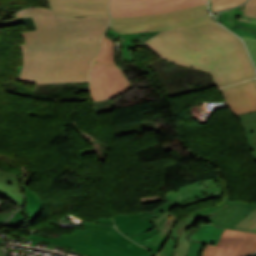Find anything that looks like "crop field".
Returning a JSON list of instances; mask_svg holds the SVG:
<instances>
[{
	"mask_svg": "<svg viewBox=\"0 0 256 256\" xmlns=\"http://www.w3.org/2000/svg\"><path fill=\"white\" fill-rule=\"evenodd\" d=\"M16 18L32 17L36 31L20 33L25 44L19 80L32 83L88 82L108 16L54 17L52 9L26 8ZM97 56V55H96Z\"/></svg>",
	"mask_w": 256,
	"mask_h": 256,
	"instance_id": "obj_2",
	"label": "crop field"
},
{
	"mask_svg": "<svg viewBox=\"0 0 256 256\" xmlns=\"http://www.w3.org/2000/svg\"><path fill=\"white\" fill-rule=\"evenodd\" d=\"M130 88L132 84L120 68L94 61L90 72V94L95 102L120 95Z\"/></svg>",
	"mask_w": 256,
	"mask_h": 256,
	"instance_id": "obj_4",
	"label": "crop field"
},
{
	"mask_svg": "<svg viewBox=\"0 0 256 256\" xmlns=\"http://www.w3.org/2000/svg\"><path fill=\"white\" fill-rule=\"evenodd\" d=\"M198 219L192 217V216H187L186 218H184L183 220H181L176 227L174 228L171 237L174 238H178L181 229H185L187 230L195 221H197Z\"/></svg>",
	"mask_w": 256,
	"mask_h": 256,
	"instance_id": "obj_24",
	"label": "crop field"
},
{
	"mask_svg": "<svg viewBox=\"0 0 256 256\" xmlns=\"http://www.w3.org/2000/svg\"><path fill=\"white\" fill-rule=\"evenodd\" d=\"M109 0H50L56 16L85 17L107 15Z\"/></svg>",
	"mask_w": 256,
	"mask_h": 256,
	"instance_id": "obj_9",
	"label": "crop field"
},
{
	"mask_svg": "<svg viewBox=\"0 0 256 256\" xmlns=\"http://www.w3.org/2000/svg\"><path fill=\"white\" fill-rule=\"evenodd\" d=\"M173 206L174 205L168 203L166 206L157 211H151L153 214L156 215V217L151 219V221L153 222L154 226L158 228L159 231L154 236L137 242L150 248L154 256L156 255V252H159V250L165 243L169 233L171 232V229L176 224H173L171 227L169 226V220H172V217L174 215L166 211Z\"/></svg>",
	"mask_w": 256,
	"mask_h": 256,
	"instance_id": "obj_12",
	"label": "crop field"
},
{
	"mask_svg": "<svg viewBox=\"0 0 256 256\" xmlns=\"http://www.w3.org/2000/svg\"><path fill=\"white\" fill-rule=\"evenodd\" d=\"M13 212H4L0 213V224H3L9 217V214L12 215Z\"/></svg>",
	"mask_w": 256,
	"mask_h": 256,
	"instance_id": "obj_29",
	"label": "crop field"
},
{
	"mask_svg": "<svg viewBox=\"0 0 256 256\" xmlns=\"http://www.w3.org/2000/svg\"><path fill=\"white\" fill-rule=\"evenodd\" d=\"M207 0H110L112 16L160 13L190 7Z\"/></svg>",
	"mask_w": 256,
	"mask_h": 256,
	"instance_id": "obj_5",
	"label": "crop field"
},
{
	"mask_svg": "<svg viewBox=\"0 0 256 256\" xmlns=\"http://www.w3.org/2000/svg\"><path fill=\"white\" fill-rule=\"evenodd\" d=\"M152 217L154 215L151 212L114 214V222L119 231L137 242L158 231L149 220Z\"/></svg>",
	"mask_w": 256,
	"mask_h": 256,
	"instance_id": "obj_10",
	"label": "crop field"
},
{
	"mask_svg": "<svg viewBox=\"0 0 256 256\" xmlns=\"http://www.w3.org/2000/svg\"><path fill=\"white\" fill-rule=\"evenodd\" d=\"M243 16L256 17V0H249L248 3H246Z\"/></svg>",
	"mask_w": 256,
	"mask_h": 256,
	"instance_id": "obj_27",
	"label": "crop field"
},
{
	"mask_svg": "<svg viewBox=\"0 0 256 256\" xmlns=\"http://www.w3.org/2000/svg\"><path fill=\"white\" fill-rule=\"evenodd\" d=\"M212 20L204 3L160 14L112 17L109 27L120 34L160 31L145 41L152 51L209 72L218 88L256 77L242 41Z\"/></svg>",
	"mask_w": 256,
	"mask_h": 256,
	"instance_id": "obj_1",
	"label": "crop field"
},
{
	"mask_svg": "<svg viewBox=\"0 0 256 256\" xmlns=\"http://www.w3.org/2000/svg\"><path fill=\"white\" fill-rule=\"evenodd\" d=\"M224 229L213 225H204L196 229L194 232L189 231L187 234L188 240L217 245Z\"/></svg>",
	"mask_w": 256,
	"mask_h": 256,
	"instance_id": "obj_14",
	"label": "crop field"
},
{
	"mask_svg": "<svg viewBox=\"0 0 256 256\" xmlns=\"http://www.w3.org/2000/svg\"><path fill=\"white\" fill-rule=\"evenodd\" d=\"M96 60L115 65V60L113 57V41L106 36H103L100 53L96 57Z\"/></svg>",
	"mask_w": 256,
	"mask_h": 256,
	"instance_id": "obj_20",
	"label": "crop field"
},
{
	"mask_svg": "<svg viewBox=\"0 0 256 256\" xmlns=\"http://www.w3.org/2000/svg\"><path fill=\"white\" fill-rule=\"evenodd\" d=\"M8 200H10L12 203H14L17 208L20 207V206H19L16 202H14L12 199H9V198H8Z\"/></svg>",
	"mask_w": 256,
	"mask_h": 256,
	"instance_id": "obj_31",
	"label": "crop field"
},
{
	"mask_svg": "<svg viewBox=\"0 0 256 256\" xmlns=\"http://www.w3.org/2000/svg\"><path fill=\"white\" fill-rule=\"evenodd\" d=\"M245 131L251 153L256 160V111L237 116Z\"/></svg>",
	"mask_w": 256,
	"mask_h": 256,
	"instance_id": "obj_16",
	"label": "crop field"
},
{
	"mask_svg": "<svg viewBox=\"0 0 256 256\" xmlns=\"http://www.w3.org/2000/svg\"><path fill=\"white\" fill-rule=\"evenodd\" d=\"M176 240L177 239L169 238L162 251L157 256H173Z\"/></svg>",
	"mask_w": 256,
	"mask_h": 256,
	"instance_id": "obj_25",
	"label": "crop field"
},
{
	"mask_svg": "<svg viewBox=\"0 0 256 256\" xmlns=\"http://www.w3.org/2000/svg\"><path fill=\"white\" fill-rule=\"evenodd\" d=\"M186 233L182 230L178 238L175 256H200L206 244L188 241Z\"/></svg>",
	"mask_w": 256,
	"mask_h": 256,
	"instance_id": "obj_17",
	"label": "crop field"
},
{
	"mask_svg": "<svg viewBox=\"0 0 256 256\" xmlns=\"http://www.w3.org/2000/svg\"><path fill=\"white\" fill-rule=\"evenodd\" d=\"M231 229L256 232V209Z\"/></svg>",
	"mask_w": 256,
	"mask_h": 256,
	"instance_id": "obj_21",
	"label": "crop field"
},
{
	"mask_svg": "<svg viewBox=\"0 0 256 256\" xmlns=\"http://www.w3.org/2000/svg\"><path fill=\"white\" fill-rule=\"evenodd\" d=\"M0 256H3V252H2V250H0Z\"/></svg>",
	"mask_w": 256,
	"mask_h": 256,
	"instance_id": "obj_32",
	"label": "crop field"
},
{
	"mask_svg": "<svg viewBox=\"0 0 256 256\" xmlns=\"http://www.w3.org/2000/svg\"><path fill=\"white\" fill-rule=\"evenodd\" d=\"M21 210H22V208L16 213L14 218L12 217L7 222L6 226H20L25 222V220L23 219V217L21 215Z\"/></svg>",
	"mask_w": 256,
	"mask_h": 256,
	"instance_id": "obj_28",
	"label": "crop field"
},
{
	"mask_svg": "<svg viewBox=\"0 0 256 256\" xmlns=\"http://www.w3.org/2000/svg\"><path fill=\"white\" fill-rule=\"evenodd\" d=\"M199 186V188H198ZM220 198L215 179L197 181L167 193L165 200L177 205L187 206L206 199Z\"/></svg>",
	"mask_w": 256,
	"mask_h": 256,
	"instance_id": "obj_8",
	"label": "crop field"
},
{
	"mask_svg": "<svg viewBox=\"0 0 256 256\" xmlns=\"http://www.w3.org/2000/svg\"><path fill=\"white\" fill-rule=\"evenodd\" d=\"M21 70H22V66H19V67H18V73H17L15 79L18 80Z\"/></svg>",
	"mask_w": 256,
	"mask_h": 256,
	"instance_id": "obj_30",
	"label": "crop field"
},
{
	"mask_svg": "<svg viewBox=\"0 0 256 256\" xmlns=\"http://www.w3.org/2000/svg\"><path fill=\"white\" fill-rule=\"evenodd\" d=\"M236 28L256 36V18L242 17Z\"/></svg>",
	"mask_w": 256,
	"mask_h": 256,
	"instance_id": "obj_22",
	"label": "crop field"
},
{
	"mask_svg": "<svg viewBox=\"0 0 256 256\" xmlns=\"http://www.w3.org/2000/svg\"><path fill=\"white\" fill-rule=\"evenodd\" d=\"M245 43L247 44L250 54L256 64V39L247 38V37H241Z\"/></svg>",
	"mask_w": 256,
	"mask_h": 256,
	"instance_id": "obj_26",
	"label": "crop field"
},
{
	"mask_svg": "<svg viewBox=\"0 0 256 256\" xmlns=\"http://www.w3.org/2000/svg\"><path fill=\"white\" fill-rule=\"evenodd\" d=\"M234 115L256 110V79L222 88Z\"/></svg>",
	"mask_w": 256,
	"mask_h": 256,
	"instance_id": "obj_11",
	"label": "crop field"
},
{
	"mask_svg": "<svg viewBox=\"0 0 256 256\" xmlns=\"http://www.w3.org/2000/svg\"><path fill=\"white\" fill-rule=\"evenodd\" d=\"M255 207L256 203L223 200L216 206L204 208L192 214L212 224L231 228L248 215Z\"/></svg>",
	"mask_w": 256,
	"mask_h": 256,
	"instance_id": "obj_6",
	"label": "crop field"
},
{
	"mask_svg": "<svg viewBox=\"0 0 256 256\" xmlns=\"http://www.w3.org/2000/svg\"><path fill=\"white\" fill-rule=\"evenodd\" d=\"M112 219L97 217L94 222L85 221L83 228H74L71 233H61L58 238L38 233L26 239L55 243L64 236L87 239L102 243L114 250L135 256H151L150 252L121 235L113 227ZM112 226V228H111Z\"/></svg>",
	"mask_w": 256,
	"mask_h": 256,
	"instance_id": "obj_3",
	"label": "crop field"
},
{
	"mask_svg": "<svg viewBox=\"0 0 256 256\" xmlns=\"http://www.w3.org/2000/svg\"><path fill=\"white\" fill-rule=\"evenodd\" d=\"M0 194L13 197L19 204L23 202L18 179L3 171H0Z\"/></svg>",
	"mask_w": 256,
	"mask_h": 256,
	"instance_id": "obj_15",
	"label": "crop field"
},
{
	"mask_svg": "<svg viewBox=\"0 0 256 256\" xmlns=\"http://www.w3.org/2000/svg\"><path fill=\"white\" fill-rule=\"evenodd\" d=\"M56 246L71 247L86 256H130L116 252L99 243L64 237L55 243Z\"/></svg>",
	"mask_w": 256,
	"mask_h": 256,
	"instance_id": "obj_13",
	"label": "crop field"
},
{
	"mask_svg": "<svg viewBox=\"0 0 256 256\" xmlns=\"http://www.w3.org/2000/svg\"><path fill=\"white\" fill-rule=\"evenodd\" d=\"M244 5L238 7V8H234V9H230V10H226L223 11L222 13V18L221 21L223 22V24L228 27L230 30H232L233 32H235L237 35H239L240 37L242 35L247 36V37H252V38H256L253 37L245 32H242L236 28H234L236 26V24L238 23L240 17L243 15L244 12Z\"/></svg>",
	"mask_w": 256,
	"mask_h": 256,
	"instance_id": "obj_18",
	"label": "crop field"
},
{
	"mask_svg": "<svg viewBox=\"0 0 256 256\" xmlns=\"http://www.w3.org/2000/svg\"><path fill=\"white\" fill-rule=\"evenodd\" d=\"M213 11L217 12L223 9L237 6L246 0H211Z\"/></svg>",
	"mask_w": 256,
	"mask_h": 256,
	"instance_id": "obj_23",
	"label": "crop field"
},
{
	"mask_svg": "<svg viewBox=\"0 0 256 256\" xmlns=\"http://www.w3.org/2000/svg\"><path fill=\"white\" fill-rule=\"evenodd\" d=\"M24 189H25L26 199H27V203L25 204L26 215L28 219L34 221L40 215L44 205H43V202L35 193H33L32 191L26 188L25 184H24Z\"/></svg>",
	"mask_w": 256,
	"mask_h": 256,
	"instance_id": "obj_19",
	"label": "crop field"
},
{
	"mask_svg": "<svg viewBox=\"0 0 256 256\" xmlns=\"http://www.w3.org/2000/svg\"><path fill=\"white\" fill-rule=\"evenodd\" d=\"M256 251V234L225 230L218 245L207 244L202 256H244Z\"/></svg>",
	"mask_w": 256,
	"mask_h": 256,
	"instance_id": "obj_7",
	"label": "crop field"
}]
</instances>
